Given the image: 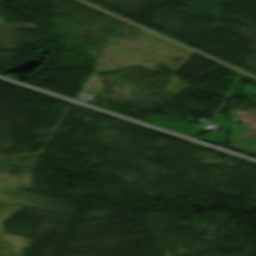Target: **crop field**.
<instances>
[{
	"mask_svg": "<svg viewBox=\"0 0 256 256\" xmlns=\"http://www.w3.org/2000/svg\"><path fill=\"white\" fill-rule=\"evenodd\" d=\"M16 49L13 31H0V50Z\"/></svg>",
	"mask_w": 256,
	"mask_h": 256,
	"instance_id": "obj_1",
	"label": "crop field"
},
{
	"mask_svg": "<svg viewBox=\"0 0 256 256\" xmlns=\"http://www.w3.org/2000/svg\"><path fill=\"white\" fill-rule=\"evenodd\" d=\"M39 28L33 23H18V24H0V30H20Z\"/></svg>",
	"mask_w": 256,
	"mask_h": 256,
	"instance_id": "obj_2",
	"label": "crop field"
},
{
	"mask_svg": "<svg viewBox=\"0 0 256 256\" xmlns=\"http://www.w3.org/2000/svg\"><path fill=\"white\" fill-rule=\"evenodd\" d=\"M0 23H5L2 19H0Z\"/></svg>",
	"mask_w": 256,
	"mask_h": 256,
	"instance_id": "obj_3",
	"label": "crop field"
}]
</instances>
